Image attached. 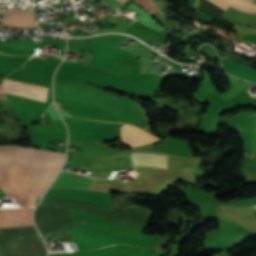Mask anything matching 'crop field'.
I'll return each instance as SVG.
<instances>
[{
	"instance_id": "1",
	"label": "crop field",
	"mask_w": 256,
	"mask_h": 256,
	"mask_svg": "<svg viewBox=\"0 0 256 256\" xmlns=\"http://www.w3.org/2000/svg\"><path fill=\"white\" fill-rule=\"evenodd\" d=\"M0 256H46V250L38 233L27 236L2 234Z\"/></svg>"
},
{
	"instance_id": "2",
	"label": "crop field",
	"mask_w": 256,
	"mask_h": 256,
	"mask_svg": "<svg viewBox=\"0 0 256 256\" xmlns=\"http://www.w3.org/2000/svg\"><path fill=\"white\" fill-rule=\"evenodd\" d=\"M33 168L26 165H15L10 177L6 196L14 197L16 203L24 207L29 201V182Z\"/></svg>"
},
{
	"instance_id": "3",
	"label": "crop field",
	"mask_w": 256,
	"mask_h": 256,
	"mask_svg": "<svg viewBox=\"0 0 256 256\" xmlns=\"http://www.w3.org/2000/svg\"><path fill=\"white\" fill-rule=\"evenodd\" d=\"M2 87L5 93L41 101L46 100L48 90L46 87L7 79H4Z\"/></svg>"
},
{
	"instance_id": "4",
	"label": "crop field",
	"mask_w": 256,
	"mask_h": 256,
	"mask_svg": "<svg viewBox=\"0 0 256 256\" xmlns=\"http://www.w3.org/2000/svg\"><path fill=\"white\" fill-rule=\"evenodd\" d=\"M120 133L123 142L133 147L160 140L139 128L127 124L120 128Z\"/></svg>"
},
{
	"instance_id": "5",
	"label": "crop field",
	"mask_w": 256,
	"mask_h": 256,
	"mask_svg": "<svg viewBox=\"0 0 256 256\" xmlns=\"http://www.w3.org/2000/svg\"><path fill=\"white\" fill-rule=\"evenodd\" d=\"M2 17L4 26L37 28L31 11L3 10Z\"/></svg>"
},
{
	"instance_id": "6",
	"label": "crop field",
	"mask_w": 256,
	"mask_h": 256,
	"mask_svg": "<svg viewBox=\"0 0 256 256\" xmlns=\"http://www.w3.org/2000/svg\"><path fill=\"white\" fill-rule=\"evenodd\" d=\"M92 181V178L61 171L51 188L87 189Z\"/></svg>"
},
{
	"instance_id": "7",
	"label": "crop field",
	"mask_w": 256,
	"mask_h": 256,
	"mask_svg": "<svg viewBox=\"0 0 256 256\" xmlns=\"http://www.w3.org/2000/svg\"><path fill=\"white\" fill-rule=\"evenodd\" d=\"M64 158H65V154L50 151V158L48 160V166H47L46 172L40 182L36 197L40 198V196L46 190V188L50 184L51 180L53 179V177L55 176V174L57 173L59 168L62 166V164L64 162ZM36 201H38L37 198H36Z\"/></svg>"
},
{
	"instance_id": "8",
	"label": "crop field",
	"mask_w": 256,
	"mask_h": 256,
	"mask_svg": "<svg viewBox=\"0 0 256 256\" xmlns=\"http://www.w3.org/2000/svg\"><path fill=\"white\" fill-rule=\"evenodd\" d=\"M49 151L36 149L37 163L31 181L30 191L35 195L39 182L45 172Z\"/></svg>"
},
{
	"instance_id": "9",
	"label": "crop field",
	"mask_w": 256,
	"mask_h": 256,
	"mask_svg": "<svg viewBox=\"0 0 256 256\" xmlns=\"http://www.w3.org/2000/svg\"><path fill=\"white\" fill-rule=\"evenodd\" d=\"M25 208L7 209L0 212V228L18 227Z\"/></svg>"
},
{
	"instance_id": "10",
	"label": "crop field",
	"mask_w": 256,
	"mask_h": 256,
	"mask_svg": "<svg viewBox=\"0 0 256 256\" xmlns=\"http://www.w3.org/2000/svg\"><path fill=\"white\" fill-rule=\"evenodd\" d=\"M135 165H144V166H156L166 168V159L165 156L157 155H148V154H132Z\"/></svg>"
},
{
	"instance_id": "11",
	"label": "crop field",
	"mask_w": 256,
	"mask_h": 256,
	"mask_svg": "<svg viewBox=\"0 0 256 256\" xmlns=\"http://www.w3.org/2000/svg\"><path fill=\"white\" fill-rule=\"evenodd\" d=\"M36 157L35 149L23 148L17 146V162L21 164H29L35 166Z\"/></svg>"
},
{
	"instance_id": "12",
	"label": "crop field",
	"mask_w": 256,
	"mask_h": 256,
	"mask_svg": "<svg viewBox=\"0 0 256 256\" xmlns=\"http://www.w3.org/2000/svg\"><path fill=\"white\" fill-rule=\"evenodd\" d=\"M16 162L15 146L1 145L0 146V165H8Z\"/></svg>"
},
{
	"instance_id": "13",
	"label": "crop field",
	"mask_w": 256,
	"mask_h": 256,
	"mask_svg": "<svg viewBox=\"0 0 256 256\" xmlns=\"http://www.w3.org/2000/svg\"><path fill=\"white\" fill-rule=\"evenodd\" d=\"M225 1L230 2V3L232 4L231 6H233V7H235V8H238V9H240V10H242V11H245V12H247V13H250V14L256 16V8L250 7V6H255V7H256L255 4L248 3V2H245V1H243V0H239V1H241V2H243V3H246V4L250 5V6H248V5H246V4H243V3L239 2V1H236V0H225ZM230 3H229V4H230Z\"/></svg>"
},
{
	"instance_id": "14",
	"label": "crop field",
	"mask_w": 256,
	"mask_h": 256,
	"mask_svg": "<svg viewBox=\"0 0 256 256\" xmlns=\"http://www.w3.org/2000/svg\"><path fill=\"white\" fill-rule=\"evenodd\" d=\"M13 165L8 167H0V187L6 191L9 176Z\"/></svg>"
},
{
	"instance_id": "15",
	"label": "crop field",
	"mask_w": 256,
	"mask_h": 256,
	"mask_svg": "<svg viewBox=\"0 0 256 256\" xmlns=\"http://www.w3.org/2000/svg\"><path fill=\"white\" fill-rule=\"evenodd\" d=\"M134 2H136L138 5H140L142 8H144L145 10H147L150 13H153L157 10H159L156 6H154L150 0H133Z\"/></svg>"
},
{
	"instance_id": "16",
	"label": "crop field",
	"mask_w": 256,
	"mask_h": 256,
	"mask_svg": "<svg viewBox=\"0 0 256 256\" xmlns=\"http://www.w3.org/2000/svg\"><path fill=\"white\" fill-rule=\"evenodd\" d=\"M32 210H33V208H26L25 209V212H24V215H23V218L21 220V223H20L19 227L33 225L32 220H31Z\"/></svg>"
},
{
	"instance_id": "17",
	"label": "crop field",
	"mask_w": 256,
	"mask_h": 256,
	"mask_svg": "<svg viewBox=\"0 0 256 256\" xmlns=\"http://www.w3.org/2000/svg\"><path fill=\"white\" fill-rule=\"evenodd\" d=\"M208 1L217 5V6H219V7H221V8H223V9H225V10L229 6V4H227V3H225L221 0H208Z\"/></svg>"
},
{
	"instance_id": "18",
	"label": "crop field",
	"mask_w": 256,
	"mask_h": 256,
	"mask_svg": "<svg viewBox=\"0 0 256 256\" xmlns=\"http://www.w3.org/2000/svg\"><path fill=\"white\" fill-rule=\"evenodd\" d=\"M33 201H34V197L32 194H30V201L29 203L27 204V206H32L33 205Z\"/></svg>"
},
{
	"instance_id": "19",
	"label": "crop field",
	"mask_w": 256,
	"mask_h": 256,
	"mask_svg": "<svg viewBox=\"0 0 256 256\" xmlns=\"http://www.w3.org/2000/svg\"><path fill=\"white\" fill-rule=\"evenodd\" d=\"M0 99H6L1 87H0Z\"/></svg>"
},
{
	"instance_id": "20",
	"label": "crop field",
	"mask_w": 256,
	"mask_h": 256,
	"mask_svg": "<svg viewBox=\"0 0 256 256\" xmlns=\"http://www.w3.org/2000/svg\"><path fill=\"white\" fill-rule=\"evenodd\" d=\"M117 1H119V2H121V3L124 4V2H125L126 0H117Z\"/></svg>"
}]
</instances>
